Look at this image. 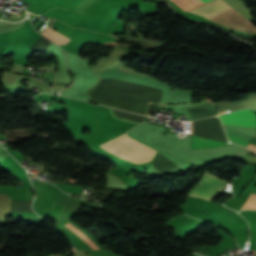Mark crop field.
Listing matches in <instances>:
<instances>
[{
	"label": "crop field",
	"mask_w": 256,
	"mask_h": 256,
	"mask_svg": "<svg viewBox=\"0 0 256 256\" xmlns=\"http://www.w3.org/2000/svg\"><path fill=\"white\" fill-rule=\"evenodd\" d=\"M220 117L224 124L256 127V114L248 109L231 112Z\"/></svg>",
	"instance_id": "412701ff"
},
{
	"label": "crop field",
	"mask_w": 256,
	"mask_h": 256,
	"mask_svg": "<svg viewBox=\"0 0 256 256\" xmlns=\"http://www.w3.org/2000/svg\"><path fill=\"white\" fill-rule=\"evenodd\" d=\"M227 134H228L229 140L246 147L247 141H245V140H243V139H241V138H239L235 135H232V134H229V133H227Z\"/></svg>",
	"instance_id": "5a996713"
},
{
	"label": "crop field",
	"mask_w": 256,
	"mask_h": 256,
	"mask_svg": "<svg viewBox=\"0 0 256 256\" xmlns=\"http://www.w3.org/2000/svg\"><path fill=\"white\" fill-rule=\"evenodd\" d=\"M171 1L174 2L177 6H179L182 10L187 12L188 11L187 9L190 10L198 5L203 4L202 2L206 3L210 0H201L202 2L200 0H176L179 3H181L183 6H185L187 9L183 7L181 4H179L178 2H176L175 0H171Z\"/></svg>",
	"instance_id": "e52e79f7"
},
{
	"label": "crop field",
	"mask_w": 256,
	"mask_h": 256,
	"mask_svg": "<svg viewBox=\"0 0 256 256\" xmlns=\"http://www.w3.org/2000/svg\"><path fill=\"white\" fill-rule=\"evenodd\" d=\"M228 8H230V6L228 5L227 2L223 0H213L189 12H193L200 16L208 18ZM208 19L229 29H236L238 31L250 34L256 33V27L253 24H251L248 20H246L244 17H242L233 8H230L217 15H214Z\"/></svg>",
	"instance_id": "8a807250"
},
{
	"label": "crop field",
	"mask_w": 256,
	"mask_h": 256,
	"mask_svg": "<svg viewBox=\"0 0 256 256\" xmlns=\"http://www.w3.org/2000/svg\"><path fill=\"white\" fill-rule=\"evenodd\" d=\"M101 146L135 164L151 161L156 152L130 139L126 134H123Z\"/></svg>",
	"instance_id": "ac0d7876"
},
{
	"label": "crop field",
	"mask_w": 256,
	"mask_h": 256,
	"mask_svg": "<svg viewBox=\"0 0 256 256\" xmlns=\"http://www.w3.org/2000/svg\"><path fill=\"white\" fill-rule=\"evenodd\" d=\"M190 134H192L191 122H190ZM223 145H227V144L192 135L191 149L210 148V147H217V146H223Z\"/></svg>",
	"instance_id": "f4fd0767"
},
{
	"label": "crop field",
	"mask_w": 256,
	"mask_h": 256,
	"mask_svg": "<svg viewBox=\"0 0 256 256\" xmlns=\"http://www.w3.org/2000/svg\"><path fill=\"white\" fill-rule=\"evenodd\" d=\"M227 181L205 173L201 181L189 193L213 200L225 187Z\"/></svg>",
	"instance_id": "34b2d1b8"
},
{
	"label": "crop field",
	"mask_w": 256,
	"mask_h": 256,
	"mask_svg": "<svg viewBox=\"0 0 256 256\" xmlns=\"http://www.w3.org/2000/svg\"><path fill=\"white\" fill-rule=\"evenodd\" d=\"M248 148L253 149V150H256V145L249 144V145H248Z\"/></svg>",
	"instance_id": "3316defc"
},
{
	"label": "crop field",
	"mask_w": 256,
	"mask_h": 256,
	"mask_svg": "<svg viewBox=\"0 0 256 256\" xmlns=\"http://www.w3.org/2000/svg\"><path fill=\"white\" fill-rule=\"evenodd\" d=\"M44 36L48 37L49 39H51L52 41L56 42L59 45L60 44L66 45L71 40V38L61 33H58L50 28Z\"/></svg>",
	"instance_id": "dd49c442"
},
{
	"label": "crop field",
	"mask_w": 256,
	"mask_h": 256,
	"mask_svg": "<svg viewBox=\"0 0 256 256\" xmlns=\"http://www.w3.org/2000/svg\"><path fill=\"white\" fill-rule=\"evenodd\" d=\"M242 209H256V190L253 191L249 199L243 205Z\"/></svg>",
	"instance_id": "d8731c3e"
}]
</instances>
